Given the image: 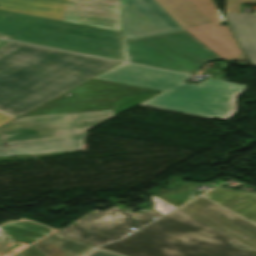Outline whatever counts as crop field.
Returning a JSON list of instances; mask_svg holds the SVG:
<instances>
[{"label":"crop field","mask_w":256,"mask_h":256,"mask_svg":"<svg viewBox=\"0 0 256 256\" xmlns=\"http://www.w3.org/2000/svg\"><path fill=\"white\" fill-rule=\"evenodd\" d=\"M145 88L91 79L0 128V157L81 150L86 130L113 117L111 104Z\"/></svg>","instance_id":"8a807250"},{"label":"crop field","mask_w":256,"mask_h":256,"mask_svg":"<svg viewBox=\"0 0 256 256\" xmlns=\"http://www.w3.org/2000/svg\"><path fill=\"white\" fill-rule=\"evenodd\" d=\"M119 63L9 41L0 47V109L20 116Z\"/></svg>","instance_id":"ac0d7876"},{"label":"crop field","mask_w":256,"mask_h":256,"mask_svg":"<svg viewBox=\"0 0 256 256\" xmlns=\"http://www.w3.org/2000/svg\"><path fill=\"white\" fill-rule=\"evenodd\" d=\"M191 76L121 63L94 77L163 91L141 105L202 116L232 119L235 98L247 86L206 78L199 86L185 83Z\"/></svg>","instance_id":"34b2d1b8"},{"label":"crop field","mask_w":256,"mask_h":256,"mask_svg":"<svg viewBox=\"0 0 256 256\" xmlns=\"http://www.w3.org/2000/svg\"><path fill=\"white\" fill-rule=\"evenodd\" d=\"M216 229L175 210L121 241L100 246L128 256H256L231 247Z\"/></svg>","instance_id":"412701ff"},{"label":"crop field","mask_w":256,"mask_h":256,"mask_svg":"<svg viewBox=\"0 0 256 256\" xmlns=\"http://www.w3.org/2000/svg\"><path fill=\"white\" fill-rule=\"evenodd\" d=\"M0 38L123 61L122 33L0 10Z\"/></svg>","instance_id":"f4fd0767"},{"label":"crop field","mask_w":256,"mask_h":256,"mask_svg":"<svg viewBox=\"0 0 256 256\" xmlns=\"http://www.w3.org/2000/svg\"><path fill=\"white\" fill-rule=\"evenodd\" d=\"M124 61L194 75L209 61L222 60L186 31L138 40L123 38Z\"/></svg>","instance_id":"dd49c442"},{"label":"crop field","mask_w":256,"mask_h":256,"mask_svg":"<svg viewBox=\"0 0 256 256\" xmlns=\"http://www.w3.org/2000/svg\"><path fill=\"white\" fill-rule=\"evenodd\" d=\"M184 30L227 62L245 59L212 0H155Z\"/></svg>","instance_id":"e52e79f7"},{"label":"crop field","mask_w":256,"mask_h":256,"mask_svg":"<svg viewBox=\"0 0 256 256\" xmlns=\"http://www.w3.org/2000/svg\"><path fill=\"white\" fill-rule=\"evenodd\" d=\"M0 9L122 32L120 0H0Z\"/></svg>","instance_id":"d8731c3e"},{"label":"crop field","mask_w":256,"mask_h":256,"mask_svg":"<svg viewBox=\"0 0 256 256\" xmlns=\"http://www.w3.org/2000/svg\"><path fill=\"white\" fill-rule=\"evenodd\" d=\"M123 37L130 39L182 31L154 0H121Z\"/></svg>","instance_id":"5a996713"},{"label":"crop field","mask_w":256,"mask_h":256,"mask_svg":"<svg viewBox=\"0 0 256 256\" xmlns=\"http://www.w3.org/2000/svg\"><path fill=\"white\" fill-rule=\"evenodd\" d=\"M179 209L256 250V226L206 198L201 196Z\"/></svg>","instance_id":"3316defc"},{"label":"crop field","mask_w":256,"mask_h":256,"mask_svg":"<svg viewBox=\"0 0 256 256\" xmlns=\"http://www.w3.org/2000/svg\"><path fill=\"white\" fill-rule=\"evenodd\" d=\"M131 227L138 229L142 226L118 218H96L79 227L70 225L56 233L96 246L122 237L120 232Z\"/></svg>","instance_id":"28ad6ade"},{"label":"crop field","mask_w":256,"mask_h":256,"mask_svg":"<svg viewBox=\"0 0 256 256\" xmlns=\"http://www.w3.org/2000/svg\"><path fill=\"white\" fill-rule=\"evenodd\" d=\"M204 196L256 224V193L218 187Z\"/></svg>","instance_id":"d1516ede"},{"label":"crop field","mask_w":256,"mask_h":256,"mask_svg":"<svg viewBox=\"0 0 256 256\" xmlns=\"http://www.w3.org/2000/svg\"><path fill=\"white\" fill-rule=\"evenodd\" d=\"M58 230L23 217L0 225V239L25 241L34 245Z\"/></svg>","instance_id":"22f410ed"},{"label":"crop field","mask_w":256,"mask_h":256,"mask_svg":"<svg viewBox=\"0 0 256 256\" xmlns=\"http://www.w3.org/2000/svg\"><path fill=\"white\" fill-rule=\"evenodd\" d=\"M226 22L251 65L256 66V15L227 14Z\"/></svg>","instance_id":"cbeb9de0"},{"label":"crop field","mask_w":256,"mask_h":256,"mask_svg":"<svg viewBox=\"0 0 256 256\" xmlns=\"http://www.w3.org/2000/svg\"><path fill=\"white\" fill-rule=\"evenodd\" d=\"M152 197H153V209H155L156 211H149L145 214L130 213V212L123 213L121 209H119L117 207H113L105 212L94 211V212L90 213L89 215H87L84 218L80 219L79 221L75 222V223H77L76 226H79V225L85 223L86 221H88L92 218H96V217H119V218L126 219L136 225L139 223L144 226L153 220L151 218H153V217L157 218V217L163 215L164 213L176 208V207L158 199L155 196H152Z\"/></svg>","instance_id":"5142ce71"},{"label":"crop field","mask_w":256,"mask_h":256,"mask_svg":"<svg viewBox=\"0 0 256 256\" xmlns=\"http://www.w3.org/2000/svg\"><path fill=\"white\" fill-rule=\"evenodd\" d=\"M33 247L44 256H78L93 246L55 233Z\"/></svg>","instance_id":"d9b57169"},{"label":"crop field","mask_w":256,"mask_h":256,"mask_svg":"<svg viewBox=\"0 0 256 256\" xmlns=\"http://www.w3.org/2000/svg\"><path fill=\"white\" fill-rule=\"evenodd\" d=\"M28 248L27 244L0 241V256H14Z\"/></svg>","instance_id":"733c2abd"},{"label":"crop field","mask_w":256,"mask_h":256,"mask_svg":"<svg viewBox=\"0 0 256 256\" xmlns=\"http://www.w3.org/2000/svg\"><path fill=\"white\" fill-rule=\"evenodd\" d=\"M256 2V0H227L226 12H239V3Z\"/></svg>","instance_id":"4a817a6b"},{"label":"crop field","mask_w":256,"mask_h":256,"mask_svg":"<svg viewBox=\"0 0 256 256\" xmlns=\"http://www.w3.org/2000/svg\"><path fill=\"white\" fill-rule=\"evenodd\" d=\"M216 232L219 233L223 238H225L230 243L231 246L239 248V249L247 251V252L254 251L253 249L243 245L242 243L232 239L231 237H229V236H227V235H225V234H223V233H221L217 230H216Z\"/></svg>","instance_id":"bc2a9ffb"},{"label":"crop field","mask_w":256,"mask_h":256,"mask_svg":"<svg viewBox=\"0 0 256 256\" xmlns=\"http://www.w3.org/2000/svg\"><path fill=\"white\" fill-rule=\"evenodd\" d=\"M16 117L17 116H14L12 114H9V113H6V112L0 110V126Z\"/></svg>","instance_id":"214f88e0"},{"label":"crop field","mask_w":256,"mask_h":256,"mask_svg":"<svg viewBox=\"0 0 256 256\" xmlns=\"http://www.w3.org/2000/svg\"><path fill=\"white\" fill-rule=\"evenodd\" d=\"M83 256H117L104 251H91Z\"/></svg>","instance_id":"92a150f3"},{"label":"crop field","mask_w":256,"mask_h":256,"mask_svg":"<svg viewBox=\"0 0 256 256\" xmlns=\"http://www.w3.org/2000/svg\"><path fill=\"white\" fill-rule=\"evenodd\" d=\"M30 248V247H29ZM16 256H42L41 254H39L37 251H35L33 248H30Z\"/></svg>","instance_id":"dafd665d"},{"label":"crop field","mask_w":256,"mask_h":256,"mask_svg":"<svg viewBox=\"0 0 256 256\" xmlns=\"http://www.w3.org/2000/svg\"><path fill=\"white\" fill-rule=\"evenodd\" d=\"M7 42V40H2V39H0V46H2L4 43H6Z\"/></svg>","instance_id":"00972430"}]
</instances>
